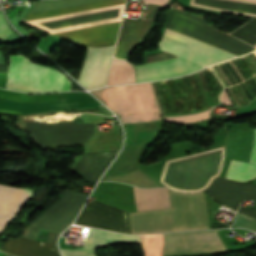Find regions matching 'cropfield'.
<instances>
[{
  "instance_id": "1",
  "label": "crop field",
  "mask_w": 256,
  "mask_h": 256,
  "mask_svg": "<svg viewBox=\"0 0 256 256\" xmlns=\"http://www.w3.org/2000/svg\"><path fill=\"white\" fill-rule=\"evenodd\" d=\"M124 1L125 0H106L47 11L32 12L28 13L25 20L50 17L116 4H122L124 3ZM118 24L119 22L55 33L54 35L66 37L71 40L93 46L111 45L114 44ZM113 47L114 46L104 48L88 47L84 66L78 79V81L83 84L87 89L100 88L104 85Z\"/></svg>"
},
{
  "instance_id": "2",
  "label": "crop field",
  "mask_w": 256,
  "mask_h": 256,
  "mask_svg": "<svg viewBox=\"0 0 256 256\" xmlns=\"http://www.w3.org/2000/svg\"><path fill=\"white\" fill-rule=\"evenodd\" d=\"M159 45L160 49L179 55L203 67L234 57L168 29L165 30ZM167 52L146 56V63L178 57ZM181 57L135 66L136 82L169 78L203 68Z\"/></svg>"
},
{
  "instance_id": "3",
  "label": "crop field",
  "mask_w": 256,
  "mask_h": 256,
  "mask_svg": "<svg viewBox=\"0 0 256 256\" xmlns=\"http://www.w3.org/2000/svg\"><path fill=\"white\" fill-rule=\"evenodd\" d=\"M171 208L129 213L131 233L207 229L204 195L169 190Z\"/></svg>"
},
{
  "instance_id": "4",
  "label": "crop field",
  "mask_w": 256,
  "mask_h": 256,
  "mask_svg": "<svg viewBox=\"0 0 256 256\" xmlns=\"http://www.w3.org/2000/svg\"><path fill=\"white\" fill-rule=\"evenodd\" d=\"M90 92L117 114L122 123L161 119L150 82Z\"/></svg>"
},
{
  "instance_id": "5",
  "label": "crop field",
  "mask_w": 256,
  "mask_h": 256,
  "mask_svg": "<svg viewBox=\"0 0 256 256\" xmlns=\"http://www.w3.org/2000/svg\"><path fill=\"white\" fill-rule=\"evenodd\" d=\"M70 82L57 71L30 63L23 55H9L6 88L22 92L65 91Z\"/></svg>"
},
{
  "instance_id": "6",
  "label": "crop field",
  "mask_w": 256,
  "mask_h": 256,
  "mask_svg": "<svg viewBox=\"0 0 256 256\" xmlns=\"http://www.w3.org/2000/svg\"><path fill=\"white\" fill-rule=\"evenodd\" d=\"M66 100L32 102L0 99V108L22 111L23 114L71 109H106L89 94L79 92L60 93Z\"/></svg>"
},
{
  "instance_id": "7",
  "label": "crop field",
  "mask_w": 256,
  "mask_h": 256,
  "mask_svg": "<svg viewBox=\"0 0 256 256\" xmlns=\"http://www.w3.org/2000/svg\"><path fill=\"white\" fill-rule=\"evenodd\" d=\"M217 230L164 234V255L226 250Z\"/></svg>"
},
{
  "instance_id": "8",
  "label": "crop field",
  "mask_w": 256,
  "mask_h": 256,
  "mask_svg": "<svg viewBox=\"0 0 256 256\" xmlns=\"http://www.w3.org/2000/svg\"><path fill=\"white\" fill-rule=\"evenodd\" d=\"M75 223L130 233L127 211L94 200L90 207L84 206Z\"/></svg>"
},
{
  "instance_id": "9",
  "label": "crop field",
  "mask_w": 256,
  "mask_h": 256,
  "mask_svg": "<svg viewBox=\"0 0 256 256\" xmlns=\"http://www.w3.org/2000/svg\"><path fill=\"white\" fill-rule=\"evenodd\" d=\"M206 191L217 201L235 210L240 202L247 199H252L256 204V185L215 178ZM238 211L256 218V208L250 210L240 207Z\"/></svg>"
},
{
  "instance_id": "10",
  "label": "crop field",
  "mask_w": 256,
  "mask_h": 256,
  "mask_svg": "<svg viewBox=\"0 0 256 256\" xmlns=\"http://www.w3.org/2000/svg\"><path fill=\"white\" fill-rule=\"evenodd\" d=\"M122 243L140 244V236L90 228L85 243V250H61V252L63 256H96L95 249Z\"/></svg>"
},
{
  "instance_id": "11",
  "label": "crop field",
  "mask_w": 256,
  "mask_h": 256,
  "mask_svg": "<svg viewBox=\"0 0 256 256\" xmlns=\"http://www.w3.org/2000/svg\"><path fill=\"white\" fill-rule=\"evenodd\" d=\"M0 250L14 256H59L56 245L23 238H8Z\"/></svg>"
},
{
  "instance_id": "12",
  "label": "crop field",
  "mask_w": 256,
  "mask_h": 256,
  "mask_svg": "<svg viewBox=\"0 0 256 256\" xmlns=\"http://www.w3.org/2000/svg\"><path fill=\"white\" fill-rule=\"evenodd\" d=\"M30 196L20 189L0 186V232Z\"/></svg>"
},
{
  "instance_id": "13",
  "label": "crop field",
  "mask_w": 256,
  "mask_h": 256,
  "mask_svg": "<svg viewBox=\"0 0 256 256\" xmlns=\"http://www.w3.org/2000/svg\"><path fill=\"white\" fill-rule=\"evenodd\" d=\"M137 211L170 207L167 188L138 189L134 187Z\"/></svg>"
},
{
  "instance_id": "14",
  "label": "crop field",
  "mask_w": 256,
  "mask_h": 256,
  "mask_svg": "<svg viewBox=\"0 0 256 256\" xmlns=\"http://www.w3.org/2000/svg\"><path fill=\"white\" fill-rule=\"evenodd\" d=\"M135 82L134 69L124 61L114 59L109 72L107 85Z\"/></svg>"
},
{
  "instance_id": "15",
  "label": "crop field",
  "mask_w": 256,
  "mask_h": 256,
  "mask_svg": "<svg viewBox=\"0 0 256 256\" xmlns=\"http://www.w3.org/2000/svg\"><path fill=\"white\" fill-rule=\"evenodd\" d=\"M254 177H256V165L233 160L230 161L226 178L245 181Z\"/></svg>"
},
{
  "instance_id": "16",
  "label": "crop field",
  "mask_w": 256,
  "mask_h": 256,
  "mask_svg": "<svg viewBox=\"0 0 256 256\" xmlns=\"http://www.w3.org/2000/svg\"><path fill=\"white\" fill-rule=\"evenodd\" d=\"M234 226H241L245 228H249L253 231H256V219L248 217L244 214L237 213L236 219L234 221Z\"/></svg>"
},
{
  "instance_id": "17",
  "label": "crop field",
  "mask_w": 256,
  "mask_h": 256,
  "mask_svg": "<svg viewBox=\"0 0 256 256\" xmlns=\"http://www.w3.org/2000/svg\"><path fill=\"white\" fill-rule=\"evenodd\" d=\"M12 31L6 26L3 17L0 12V41L5 38Z\"/></svg>"
},
{
  "instance_id": "18",
  "label": "crop field",
  "mask_w": 256,
  "mask_h": 256,
  "mask_svg": "<svg viewBox=\"0 0 256 256\" xmlns=\"http://www.w3.org/2000/svg\"><path fill=\"white\" fill-rule=\"evenodd\" d=\"M249 162L256 164V127L254 128V142H253Z\"/></svg>"
},
{
  "instance_id": "19",
  "label": "crop field",
  "mask_w": 256,
  "mask_h": 256,
  "mask_svg": "<svg viewBox=\"0 0 256 256\" xmlns=\"http://www.w3.org/2000/svg\"><path fill=\"white\" fill-rule=\"evenodd\" d=\"M169 0H143L144 3H157L162 5H167Z\"/></svg>"
},
{
  "instance_id": "20",
  "label": "crop field",
  "mask_w": 256,
  "mask_h": 256,
  "mask_svg": "<svg viewBox=\"0 0 256 256\" xmlns=\"http://www.w3.org/2000/svg\"><path fill=\"white\" fill-rule=\"evenodd\" d=\"M4 256H10V255L5 254Z\"/></svg>"
}]
</instances>
